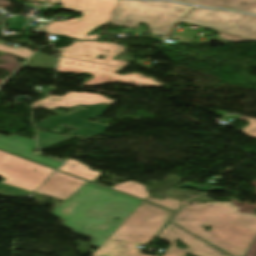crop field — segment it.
I'll return each instance as SVG.
<instances>
[{
  "instance_id": "1",
  "label": "crop field",
  "mask_w": 256,
  "mask_h": 256,
  "mask_svg": "<svg viewBox=\"0 0 256 256\" xmlns=\"http://www.w3.org/2000/svg\"><path fill=\"white\" fill-rule=\"evenodd\" d=\"M172 213L144 201L92 256H149L141 254L137 245L149 243ZM157 237L171 242L163 256H230L171 223ZM177 239L190 248H177Z\"/></svg>"
},
{
  "instance_id": "2",
  "label": "crop field",
  "mask_w": 256,
  "mask_h": 256,
  "mask_svg": "<svg viewBox=\"0 0 256 256\" xmlns=\"http://www.w3.org/2000/svg\"><path fill=\"white\" fill-rule=\"evenodd\" d=\"M142 202L87 182L51 214L65 219L63 225L91 237L90 244L100 247Z\"/></svg>"
},
{
  "instance_id": "3",
  "label": "crop field",
  "mask_w": 256,
  "mask_h": 256,
  "mask_svg": "<svg viewBox=\"0 0 256 256\" xmlns=\"http://www.w3.org/2000/svg\"><path fill=\"white\" fill-rule=\"evenodd\" d=\"M238 209L230 202L183 206L171 222L233 256H244L256 237V215ZM202 226H211V231Z\"/></svg>"
},
{
  "instance_id": "4",
  "label": "crop field",
  "mask_w": 256,
  "mask_h": 256,
  "mask_svg": "<svg viewBox=\"0 0 256 256\" xmlns=\"http://www.w3.org/2000/svg\"><path fill=\"white\" fill-rule=\"evenodd\" d=\"M191 8L192 6L170 2L119 0L109 21L129 27L145 22L152 33L166 37Z\"/></svg>"
},
{
  "instance_id": "5",
  "label": "crop field",
  "mask_w": 256,
  "mask_h": 256,
  "mask_svg": "<svg viewBox=\"0 0 256 256\" xmlns=\"http://www.w3.org/2000/svg\"><path fill=\"white\" fill-rule=\"evenodd\" d=\"M102 103H105L107 105L108 104L112 105L114 102L100 95L69 92L63 97L52 96L40 102H35L32 108L38 109L40 107H43L47 109H53L57 106L71 107L73 105H80V104L87 105L88 106L87 111L81 110V112H79L78 110L76 113L71 114V116L56 115L55 118H47L44 121H40V123L36 126H41V127L51 129L52 127H57L60 123L70 124L71 126L76 127L75 130L70 135L76 134V135H82V136H94L98 134H104L106 127L88 123L86 121L88 118H93L98 115H101L108 109L107 105L100 106ZM73 120L74 122H72ZM67 121H69V123ZM43 123L44 125H42ZM86 125H88V127H86ZM96 127H98V129L100 130L98 131Z\"/></svg>"
},
{
  "instance_id": "6",
  "label": "crop field",
  "mask_w": 256,
  "mask_h": 256,
  "mask_svg": "<svg viewBox=\"0 0 256 256\" xmlns=\"http://www.w3.org/2000/svg\"><path fill=\"white\" fill-rule=\"evenodd\" d=\"M118 0H60L63 9L78 11L79 19L53 22L45 27L47 33L59 34L74 39H93L100 35L86 36L98 26L107 23Z\"/></svg>"
},
{
  "instance_id": "7",
  "label": "crop field",
  "mask_w": 256,
  "mask_h": 256,
  "mask_svg": "<svg viewBox=\"0 0 256 256\" xmlns=\"http://www.w3.org/2000/svg\"><path fill=\"white\" fill-rule=\"evenodd\" d=\"M37 169L38 171H34ZM54 169L0 150V195L14 197L36 190Z\"/></svg>"
},
{
  "instance_id": "8",
  "label": "crop field",
  "mask_w": 256,
  "mask_h": 256,
  "mask_svg": "<svg viewBox=\"0 0 256 256\" xmlns=\"http://www.w3.org/2000/svg\"><path fill=\"white\" fill-rule=\"evenodd\" d=\"M183 22L256 40V16L196 8Z\"/></svg>"
},
{
  "instance_id": "9",
  "label": "crop field",
  "mask_w": 256,
  "mask_h": 256,
  "mask_svg": "<svg viewBox=\"0 0 256 256\" xmlns=\"http://www.w3.org/2000/svg\"><path fill=\"white\" fill-rule=\"evenodd\" d=\"M122 68L96 64L77 59L60 56L58 71L68 73L88 72L94 76L93 79L87 81L83 86H96L104 83L124 82L141 87H159L162 84L151 78H146L138 73L120 76L116 74Z\"/></svg>"
},
{
  "instance_id": "10",
  "label": "crop field",
  "mask_w": 256,
  "mask_h": 256,
  "mask_svg": "<svg viewBox=\"0 0 256 256\" xmlns=\"http://www.w3.org/2000/svg\"><path fill=\"white\" fill-rule=\"evenodd\" d=\"M125 49L126 47L107 42H77L71 47L56 50L61 51V55L63 56L125 68L127 65H129L128 62L113 60L114 57L118 56ZM105 50H109V52H106ZM114 51H117V53ZM99 54L104 55L106 59H97L96 57Z\"/></svg>"
},
{
  "instance_id": "11",
  "label": "crop field",
  "mask_w": 256,
  "mask_h": 256,
  "mask_svg": "<svg viewBox=\"0 0 256 256\" xmlns=\"http://www.w3.org/2000/svg\"><path fill=\"white\" fill-rule=\"evenodd\" d=\"M84 183L86 181L56 171L36 193L65 200Z\"/></svg>"
},
{
  "instance_id": "12",
  "label": "crop field",
  "mask_w": 256,
  "mask_h": 256,
  "mask_svg": "<svg viewBox=\"0 0 256 256\" xmlns=\"http://www.w3.org/2000/svg\"><path fill=\"white\" fill-rule=\"evenodd\" d=\"M36 147L35 141L19 136L4 137L0 135V149L36 161L38 163L57 169L61 163L31 153Z\"/></svg>"
},
{
  "instance_id": "13",
  "label": "crop field",
  "mask_w": 256,
  "mask_h": 256,
  "mask_svg": "<svg viewBox=\"0 0 256 256\" xmlns=\"http://www.w3.org/2000/svg\"><path fill=\"white\" fill-rule=\"evenodd\" d=\"M200 6L234 8L256 14V0H177Z\"/></svg>"
},
{
  "instance_id": "14",
  "label": "crop field",
  "mask_w": 256,
  "mask_h": 256,
  "mask_svg": "<svg viewBox=\"0 0 256 256\" xmlns=\"http://www.w3.org/2000/svg\"><path fill=\"white\" fill-rule=\"evenodd\" d=\"M59 170L93 181L100 173L91 171L87 166L68 159Z\"/></svg>"
},
{
  "instance_id": "15",
  "label": "crop field",
  "mask_w": 256,
  "mask_h": 256,
  "mask_svg": "<svg viewBox=\"0 0 256 256\" xmlns=\"http://www.w3.org/2000/svg\"><path fill=\"white\" fill-rule=\"evenodd\" d=\"M55 58L42 53H36L24 66L28 68L54 69Z\"/></svg>"
},
{
  "instance_id": "16",
  "label": "crop field",
  "mask_w": 256,
  "mask_h": 256,
  "mask_svg": "<svg viewBox=\"0 0 256 256\" xmlns=\"http://www.w3.org/2000/svg\"><path fill=\"white\" fill-rule=\"evenodd\" d=\"M113 189L136 196V197L144 199V200H146V198L149 196L145 192V188L135 182L121 183V184L114 186Z\"/></svg>"
},
{
  "instance_id": "17",
  "label": "crop field",
  "mask_w": 256,
  "mask_h": 256,
  "mask_svg": "<svg viewBox=\"0 0 256 256\" xmlns=\"http://www.w3.org/2000/svg\"><path fill=\"white\" fill-rule=\"evenodd\" d=\"M37 134H38L39 147H42V148H45L47 146H50L52 144H55L57 142H60L62 140H65L71 137V136L62 137L59 134L44 133V132H37ZM52 138H54V140H52Z\"/></svg>"
},
{
  "instance_id": "18",
  "label": "crop field",
  "mask_w": 256,
  "mask_h": 256,
  "mask_svg": "<svg viewBox=\"0 0 256 256\" xmlns=\"http://www.w3.org/2000/svg\"><path fill=\"white\" fill-rule=\"evenodd\" d=\"M147 201H150V202L158 204L160 206L169 208L174 211H176L177 208L181 205L180 201L172 199V198L153 199L151 197H148Z\"/></svg>"
},
{
  "instance_id": "19",
  "label": "crop field",
  "mask_w": 256,
  "mask_h": 256,
  "mask_svg": "<svg viewBox=\"0 0 256 256\" xmlns=\"http://www.w3.org/2000/svg\"><path fill=\"white\" fill-rule=\"evenodd\" d=\"M0 51L1 52H9V53L17 55L21 58H24V59H28L33 54V52H30L29 50H27L23 47H20L19 49H13V48L6 47L3 45H0Z\"/></svg>"
},
{
  "instance_id": "20",
  "label": "crop field",
  "mask_w": 256,
  "mask_h": 256,
  "mask_svg": "<svg viewBox=\"0 0 256 256\" xmlns=\"http://www.w3.org/2000/svg\"><path fill=\"white\" fill-rule=\"evenodd\" d=\"M239 119L250 122V125L243 128L242 132L248 134L250 137L256 138V119L245 117H240Z\"/></svg>"
},
{
  "instance_id": "21",
  "label": "crop field",
  "mask_w": 256,
  "mask_h": 256,
  "mask_svg": "<svg viewBox=\"0 0 256 256\" xmlns=\"http://www.w3.org/2000/svg\"><path fill=\"white\" fill-rule=\"evenodd\" d=\"M10 21V29H21L25 26L26 20L22 17L11 18Z\"/></svg>"
},
{
  "instance_id": "22",
  "label": "crop field",
  "mask_w": 256,
  "mask_h": 256,
  "mask_svg": "<svg viewBox=\"0 0 256 256\" xmlns=\"http://www.w3.org/2000/svg\"><path fill=\"white\" fill-rule=\"evenodd\" d=\"M245 256H256V239L245 254Z\"/></svg>"
},
{
  "instance_id": "23",
  "label": "crop field",
  "mask_w": 256,
  "mask_h": 256,
  "mask_svg": "<svg viewBox=\"0 0 256 256\" xmlns=\"http://www.w3.org/2000/svg\"><path fill=\"white\" fill-rule=\"evenodd\" d=\"M56 1H57V0H49L48 2H49V3H53V4H55V3H56Z\"/></svg>"
},
{
  "instance_id": "24",
  "label": "crop field",
  "mask_w": 256,
  "mask_h": 256,
  "mask_svg": "<svg viewBox=\"0 0 256 256\" xmlns=\"http://www.w3.org/2000/svg\"><path fill=\"white\" fill-rule=\"evenodd\" d=\"M40 1H44L45 2L46 0H40Z\"/></svg>"
}]
</instances>
